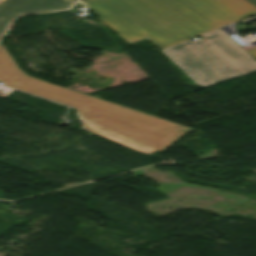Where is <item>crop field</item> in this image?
Segmentation results:
<instances>
[{
  "label": "crop field",
  "instance_id": "obj_4",
  "mask_svg": "<svg viewBox=\"0 0 256 256\" xmlns=\"http://www.w3.org/2000/svg\"><path fill=\"white\" fill-rule=\"evenodd\" d=\"M74 0H5L0 5V35L19 14L61 10L70 7Z\"/></svg>",
  "mask_w": 256,
  "mask_h": 256
},
{
  "label": "crop field",
  "instance_id": "obj_6",
  "mask_svg": "<svg viewBox=\"0 0 256 256\" xmlns=\"http://www.w3.org/2000/svg\"><path fill=\"white\" fill-rule=\"evenodd\" d=\"M248 54H250L256 60V48L246 50Z\"/></svg>",
  "mask_w": 256,
  "mask_h": 256
},
{
  "label": "crop field",
  "instance_id": "obj_1",
  "mask_svg": "<svg viewBox=\"0 0 256 256\" xmlns=\"http://www.w3.org/2000/svg\"><path fill=\"white\" fill-rule=\"evenodd\" d=\"M129 44L162 49L256 14V0H82Z\"/></svg>",
  "mask_w": 256,
  "mask_h": 256
},
{
  "label": "crop field",
  "instance_id": "obj_7",
  "mask_svg": "<svg viewBox=\"0 0 256 256\" xmlns=\"http://www.w3.org/2000/svg\"><path fill=\"white\" fill-rule=\"evenodd\" d=\"M3 0H0V3L2 2Z\"/></svg>",
  "mask_w": 256,
  "mask_h": 256
},
{
  "label": "crop field",
  "instance_id": "obj_2",
  "mask_svg": "<svg viewBox=\"0 0 256 256\" xmlns=\"http://www.w3.org/2000/svg\"><path fill=\"white\" fill-rule=\"evenodd\" d=\"M0 81L77 108L80 116L138 143L163 151L190 128L133 111L26 76L0 44Z\"/></svg>",
  "mask_w": 256,
  "mask_h": 256
},
{
  "label": "crop field",
  "instance_id": "obj_3",
  "mask_svg": "<svg viewBox=\"0 0 256 256\" xmlns=\"http://www.w3.org/2000/svg\"><path fill=\"white\" fill-rule=\"evenodd\" d=\"M161 51L201 89L256 72V61L221 29Z\"/></svg>",
  "mask_w": 256,
  "mask_h": 256
},
{
  "label": "crop field",
  "instance_id": "obj_5",
  "mask_svg": "<svg viewBox=\"0 0 256 256\" xmlns=\"http://www.w3.org/2000/svg\"><path fill=\"white\" fill-rule=\"evenodd\" d=\"M83 119V125H84V129H87L99 136H102V137H105L107 139H110V140H113V141H116L118 143H121V144H124L126 146H129L131 148H134V149H137L139 151H142V152H145V153H152L154 150L148 148V147H145L141 144H138L132 140H129L123 136H120L114 132H111L105 128H102L100 126H97L87 120H85L84 118Z\"/></svg>",
  "mask_w": 256,
  "mask_h": 256
}]
</instances>
